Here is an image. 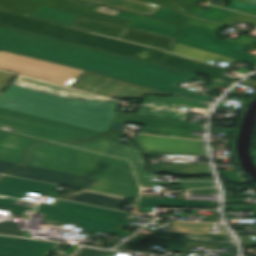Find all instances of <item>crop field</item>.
I'll return each mask as SVG.
<instances>
[{"instance_id": "obj_24", "label": "crop field", "mask_w": 256, "mask_h": 256, "mask_svg": "<svg viewBox=\"0 0 256 256\" xmlns=\"http://www.w3.org/2000/svg\"><path fill=\"white\" fill-rule=\"evenodd\" d=\"M105 6L150 16L161 7L138 0H86Z\"/></svg>"}, {"instance_id": "obj_45", "label": "crop field", "mask_w": 256, "mask_h": 256, "mask_svg": "<svg viewBox=\"0 0 256 256\" xmlns=\"http://www.w3.org/2000/svg\"><path fill=\"white\" fill-rule=\"evenodd\" d=\"M82 211H88V212H94V213H100L103 214L106 210L105 208H99L94 206H88L86 205L84 208L81 209Z\"/></svg>"}, {"instance_id": "obj_13", "label": "crop field", "mask_w": 256, "mask_h": 256, "mask_svg": "<svg viewBox=\"0 0 256 256\" xmlns=\"http://www.w3.org/2000/svg\"><path fill=\"white\" fill-rule=\"evenodd\" d=\"M0 126L14 129L13 131L25 135L51 140L57 143L84 141L91 136L38 124L0 114Z\"/></svg>"}, {"instance_id": "obj_16", "label": "crop field", "mask_w": 256, "mask_h": 256, "mask_svg": "<svg viewBox=\"0 0 256 256\" xmlns=\"http://www.w3.org/2000/svg\"><path fill=\"white\" fill-rule=\"evenodd\" d=\"M61 244L0 236V256H47Z\"/></svg>"}, {"instance_id": "obj_9", "label": "crop field", "mask_w": 256, "mask_h": 256, "mask_svg": "<svg viewBox=\"0 0 256 256\" xmlns=\"http://www.w3.org/2000/svg\"><path fill=\"white\" fill-rule=\"evenodd\" d=\"M69 87L110 98H143L144 94L168 96L160 92L87 71Z\"/></svg>"}, {"instance_id": "obj_55", "label": "crop field", "mask_w": 256, "mask_h": 256, "mask_svg": "<svg viewBox=\"0 0 256 256\" xmlns=\"http://www.w3.org/2000/svg\"><path fill=\"white\" fill-rule=\"evenodd\" d=\"M3 177V175H0V179Z\"/></svg>"}, {"instance_id": "obj_17", "label": "crop field", "mask_w": 256, "mask_h": 256, "mask_svg": "<svg viewBox=\"0 0 256 256\" xmlns=\"http://www.w3.org/2000/svg\"><path fill=\"white\" fill-rule=\"evenodd\" d=\"M40 141L0 130V160L23 164L26 151Z\"/></svg>"}, {"instance_id": "obj_41", "label": "crop field", "mask_w": 256, "mask_h": 256, "mask_svg": "<svg viewBox=\"0 0 256 256\" xmlns=\"http://www.w3.org/2000/svg\"><path fill=\"white\" fill-rule=\"evenodd\" d=\"M112 251H104V250H96V249H88V248H82L77 256H101L106 253H110Z\"/></svg>"}, {"instance_id": "obj_44", "label": "crop field", "mask_w": 256, "mask_h": 256, "mask_svg": "<svg viewBox=\"0 0 256 256\" xmlns=\"http://www.w3.org/2000/svg\"><path fill=\"white\" fill-rule=\"evenodd\" d=\"M234 42L235 43H240V44H245V45L253 46L256 43V39L242 35L241 37H239Z\"/></svg>"}, {"instance_id": "obj_12", "label": "crop field", "mask_w": 256, "mask_h": 256, "mask_svg": "<svg viewBox=\"0 0 256 256\" xmlns=\"http://www.w3.org/2000/svg\"><path fill=\"white\" fill-rule=\"evenodd\" d=\"M124 159H130L135 167L139 180L151 181V178H157L156 174L145 171L147 163L137 147H132L122 143L95 138L83 143H65Z\"/></svg>"}, {"instance_id": "obj_31", "label": "crop field", "mask_w": 256, "mask_h": 256, "mask_svg": "<svg viewBox=\"0 0 256 256\" xmlns=\"http://www.w3.org/2000/svg\"><path fill=\"white\" fill-rule=\"evenodd\" d=\"M137 114L170 119V120H180V121H187V117H188L186 113H180V112H174V111H168V110H162V109H156V108H150V107H144V106H140Z\"/></svg>"}, {"instance_id": "obj_48", "label": "crop field", "mask_w": 256, "mask_h": 256, "mask_svg": "<svg viewBox=\"0 0 256 256\" xmlns=\"http://www.w3.org/2000/svg\"><path fill=\"white\" fill-rule=\"evenodd\" d=\"M182 5H184L186 8L194 7L198 1L195 0H178Z\"/></svg>"}, {"instance_id": "obj_4", "label": "crop field", "mask_w": 256, "mask_h": 256, "mask_svg": "<svg viewBox=\"0 0 256 256\" xmlns=\"http://www.w3.org/2000/svg\"><path fill=\"white\" fill-rule=\"evenodd\" d=\"M0 24L88 45L154 63L159 62L167 54V52L164 51L68 29L1 11Z\"/></svg>"}, {"instance_id": "obj_52", "label": "crop field", "mask_w": 256, "mask_h": 256, "mask_svg": "<svg viewBox=\"0 0 256 256\" xmlns=\"http://www.w3.org/2000/svg\"><path fill=\"white\" fill-rule=\"evenodd\" d=\"M116 243H108L107 245H105L104 247L102 248H111L115 245Z\"/></svg>"}, {"instance_id": "obj_30", "label": "crop field", "mask_w": 256, "mask_h": 256, "mask_svg": "<svg viewBox=\"0 0 256 256\" xmlns=\"http://www.w3.org/2000/svg\"><path fill=\"white\" fill-rule=\"evenodd\" d=\"M170 243L171 241L169 240L133 237L128 241L124 242L123 244H121L120 246L126 247L124 250H128V251H140V252L153 253L154 251L150 250L152 244L169 246Z\"/></svg>"}, {"instance_id": "obj_6", "label": "crop field", "mask_w": 256, "mask_h": 256, "mask_svg": "<svg viewBox=\"0 0 256 256\" xmlns=\"http://www.w3.org/2000/svg\"><path fill=\"white\" fill-rule=\"evenodd\" d=\"M58 207L37 203L18 201L0 197V209L34 214L49 215L73 221L71 224L91 233L104 232L125 236L130 233L114 230L118 224L124 225L126 212L107 209L103 215L79 211L84 204L57 199L54 203Z\"/></svg>"}, {"instance_id": "obj_53", "label": "crop field", "mask_w": 256, "mask_h": 256, "mask_svg": "<svg viewBox=\"0 0 256 256\" xmlns=\"http://www.w3.org/2000/svg\"><path fill=\"white\" fill-rule=\"evenodd\" d=\"M244 1L256 3V0H244Z\"/></svg>"}, {"instance_id": "obj_25", "label": "crop field", "mask_w": 256, "mask_h": 256, "mask_svg": "<svg viewBox=\"0 0 256 256\" xmlns=\"http://www.w3.org/2000/svg\"><path fill=\"white\" fill-rule=\"evenodd\" d=\"M143 104L171 108V109H176L180 107H185L189 109H191L192 107L208 109L209 107L207 105L199 104L194 101H190L180 97L162 98V97L147 96L145 97Z\"/></svg>"}, {"instance_id": "obj_47", "label": "crop field", "mask_w": 256, "mask_h": 256, "mask_svg": "<svg viewBox=\"0 0 256 256\" xmlns=\"http://www.w3.org/2000/svg\"><path fill=\"white\" fill-rule=\"evenodd\" d=\"M33 187L34 188H39V189H45V190L52 191V189L57 187V185H51V184H45V183L36 182Z\"/></svg>"}, {"instance_id": "obj_40", "label": "crop field", "mask_w": 256, "mask_h": 256, "mask_svg": "<svg viewBox=\"0 0 256 256\" xmlns=\"http://www.w3.org/2000/svg\"><path fill=\"white\" fill-rule=\"evenodd\" d=\"M145 1H148V2H154V1H158V2H162V3H165V7L167 8H170V9H173V10H176V11H179V12H182V13H185V14H189L190 13L185 10L178 2H176L175 0H145Z\"/></svg>"}, {"instance_id": "obj_42", "label": "crop field", "mask_w": 256, "mask_h": 256, "mask_svg": "<svg viewBox=\"0 0 256 256\" xmlns=\"http://www.w3.org/2000/svg\"><path fill=\"white\" fill-rule=\"evenodd\" d=\"M18 166H20V164L0 161V173L6 174Z\"/></svg>"}, {"instance_id": "obj_26", "label": "crop field", "mask_w": 256, "mask_h": 256, "mask_svg": "<svg viewBox=\"0 0 256 256\" xmlns=\"http://www.w3.org/2000/svg\"><path fill=\"white\" fill-rule=\"evenodd\" d=\"M31 17L59 23L65 26L70 27L80 16L43 7L41 6L39 9H37L33 14L30 15Z\"/></svg>"}, {"instance_id": "obj_57", "label": "crop field", "mask_w": 256, "mask_h": 256, "mask_svg": "<svg viewBox=\"0 0 256 256\" xmlns=\"http://www.w3.org/2000/svg\"><path fill=\"white\" fill-rule=\"evenodd\" d=\"M198 1H200V0H198ZM203 1H206V0H203Z\"/></svg>"}, {"instance_id": "obj_56", "label": "crop field", "mask_w": 256, "mask_h": 256, "mask_svg": "<svg viewBox=\"0 0 256 256\" xmlns=\"http://www.w3.org/2000/svg\"><path fill=\"white\" fill-rule=\"evenodd\" d=\"M64 256H69V255H64Z\"/></svg>"}, {"instance_id": "obj_37", "label": "crop field", "mask_w": 256, "mask_h": 256, "mask_svg": "<svg viewBox=\"0 0 256 256\" xmlns=\"http://www.w3.org/2000/svg\"><path fill=\"white\" fill-rule=\"evenodd\" d=\"M130 26L131 27H135V28H139V29H143V30H147V31H151V32H154V33H158V34L174 37V38L177 35V32L165 30V29H162V28L150 26V25L139 23V22H135V21H132Z\"/></svg>"}, {"instance_id": "obj_20", "label": "crop field", "mask_w": 256, "mask_h": 256, "mask_svg": "<svg viewBox=\"0 0 256 256\" xmlns=\"http://www.w3.org/2000/svg\"><path fill=\"white\" fill-rule=\"evenodd\" d=\"M120 39L171 51L174 38L128 27Z\"/></svg>"}, {"instance_id": "obj_51", "label": "crop field", "mask_w": 256, "mask_h": 256, "mask_svg": "<svg viewBox=\"0 0 256 256\" xmlns=\"http://www.w3.org/2000/svg\"><path fill=\"white\" fill-rule=\"evenodd\" d=\"M184 98L194 100V101H199V100H207L210 99L209 97H206L204 95H196V96H184Z\"/></svg>"}, {"instance_id": "obj_3", "label": "crop field", "mask_w": 256, "mask_h": 256, "mask_svg": "<svg viewBox=\"0 0 256 256\" xmlns=\"http://www.w3.org/2000/svg\"><path fill=\"white\" fill-rule=\"evenodd\" d=\"M0 38L57 51L125 69L141 72L170 83L189 81L195 74L164 68L119 55L63 42L46 37L0 27ZM191 81V80H190Z\"/></svg>"}, {"instance_id": "obj_15", "label": "crop field", "mask_w": 256, "mask_h": 256, "mask_svg": "<svg viewBox=\"0 0 256 256\" xmlns=\"http://www.w3.org/2000/svg\"><path fill=\"white\" fill-rule=\"evenodd\" d=\"M10 175L89 190L95 179L24 165Z\"/></svg>"}, {"instance_id": "obj_35", "label": "crop field", "mask_w": 256, "mask_h": 256, "mask_svg": "<svg viewBox=\"0 0 256 256\" xmlns=\"http://www.w3.org/2000/svg\"><path fill=\"white\" fill-rule=\"evenodd\" d=\"M227 1H231L226 6L227 8H231V9H235V10H239V11H243V12H247V13L256 15V4L239 1V0H227ZM209 3H211V2H209ZM211 4H214V3H211ZM215 5H218V4H215ZM219 6H221V5H219Z\"/></svg>"}, {"instance_id": "obj_43", "label": "crop field", "mask_w": 256, "mask_h": 256, "mask_svg": "<svg viewBox=\"0 0 256 256\" xmlns=\"http://www.w3.org/2000/svg\"><path fill=\"white\" fill-rule=\"evenodd\" d=\"M14 77L15 75L0 72V91H2Z\"/></svg>"}, {"instance_id": "obj_10", "label": "crop field", "mask_w": 256, "mask_h": 256, "mask_svg": "<svg viewBox=\"0 0 256 256\" xmlns=\"http://www.w3.org/2000/svg\"><path fill=\"white\" fill-rule=\"evenodd\" d=\"M177 42L219 55L256 64L251 54L241 52L246 46L218 40V36L204 26L185 25Z\"/></svg>"}, {"instance_id": "obj_29", "label": "crop field", "mask_w": 256, "mask_h": 256, "mask_svg": "<svg viewBox=\"0 0 256 256\" xmlns=\"http://www.w3.org/2000/svg\"><path fill=\"white\" fill-rule=\"evenodd\" d=\"M174 53H178L181 55H185L191 58H195L201 61H209V60H218V61H223V62H228L235 64L238 62V60L230 59L227 57L219 56L216 54H212L206 51H202L196 48H192L186 45H182L177 43L175 49L173 50Z\"/></svg>"}, {"instance_id": "obj_11", "label": "crop field", "mask_w": 256, "mask_h": 256, "mask_svg": "<svg viewBox=\"0 0 256 256\" xmlns=\"http://www.w3.org/2000/svg\"><path fill=\"white\" fill-rule=\"evenodd\" d=\"M113 121L145 124L140 131L143 134L203 140V137L188 135L191 130L203 131L204 125L202 124L121 113H115Z\"/></svg>"}, {"instance_id": "obj_23", "label": "crop field", "mask_w": 256, "mask_h": 256, "mask_svg": "<svg viewBox=\"0 0 256 256\" xmlns=\"http://www.w3.org/2000/svg\"><path fill=\"white\" fill-rule=\"evenodd\" d=\"M58 198L115 209H118V207L124 201V199L121 198H114L86 191L65 193L60 195Z\"/></svg>"}, {"instance_id": "obj_46", "label": "crop field", "mask_w": 256, "mask_h": 256, "mask_svg": "<svg viewBox=\"0 0 256 256\" xmlns=\"http://www.w3.org/2000/svg\"><path fill=\"white\" fill-rule=\"evenodd\" d=\"M188 243L172 241L168 248L185 250Z\"/></svg>"}, {"instance_id": "obj_54", "label": "crop field", "mask_w": 256, "mask_h": 256, "mask_svg": "<svg viewBox=\"0 0 256 256\" xmlns=\"http://www.w3.org/2000/svg\"><path fill=\"white\" fill-rule=\"evenodd\" d=\"M222 256H234V255H229V254H222Z\"/></svg>"}, {"instance_id": "obj_7", "label": "crop field", "mask_w": 256, "mask_h": 256, "mask_svg": "<svg viewBox=\"0 0 256 256\" xmlns=\"http://www.w3.org/2000/svg\"><path fill=\"white\" fill-rule=\"evenodd\" d=\"M0 49L83 70H89L170 95L197 94L138 72L0 39Z\"/></svg>"}, {"instance_id": "obj_1", "label": "crop field", "mask_w": 256, "mask_h": 256, "mask_svg": "<svg viewBox=\"0 0 256 256\" xmlns=\"http://www.w3.org/2000/svg\"><path fill=\"white\" fill-rule=\"evenodd\" d=\"M27 165L98 179L91 191L137 199L140 189L126 160L42 142L28 151Z\"/></svg>"}, {"instance_id": "obj_50", "label": "crop field", "mask_w": 256, "mask_h": 256, "mask_svg": "<svg viewBox=\"0 0 256 256\" xmlns=\"http://www.w3.org/2000/svg\"><path fill=\"white\" fill-rule=\"evenodd\" d=\"M238 203H246L245 198L225 199V204H238Z\"/></svg>"}, {"instance_id": "obj_21", "label": "crop field", "mask_w": 256, "mask_h": 256, "mask_svg": "<svg viewBox=\"0 0 256 256\" xmlns=\"http://www.w3.org/2000/svg\"><path fill=\"white\" fill-rule=\"evenodd\" d=\"M151 237L161 238V239H169V240H177V241L217 244V245L235 247L233 240L230 236L158 231L157 233L153 234Z\"/></svg>"}, {"instance_id": "obj_32", "label": "crop field", "mask_w": 256, "mask_h": 256, "mask_svg": "<svg viewBox=\"0 0 256 256\" xmlns=\"http://www.w3.org/2000/svg\"><path fill=\"white\" fill-rule=\"evenodd\" d=\"M233 11L211 6L208 10H201L196 17L219 22Z\"/></svg>"}, {"instance_id": "obj_33", "label": "crop field", "mask_w": 256, "mask_h": 256, "mask_svg": "<svg viewBox=\"0 0 256 256\" xmlns=\"http://www.w3.org/2000/svg\"><path fill=\"white\" fill-rule=\"evenodd\" d=\"M141 185H163L175 184L180 185V189L203 188L215 186L214 182H145L139 181Z\"/></svg>"}, {"instance_id": "obj_36", "label": "crop field", "mask_w": 256, "mask_h": 256, "mask_svg": "<svg viewBox=\"0 0 256 256\" xmlns=\"http://www.w3.org/2000/svg\"><path fill=\"white\" fill-rule=\"evenodd\" d=\"M0 234L25 237L24 233L20 231L16 221L1 222Z\"/></svg>"}, {"instance_id": "obj_22", "label": "crop field", "mask_w": 256, "mask_h": 256, "mask_svg": "<svg viewBox=\"0 0 256 256\" xmlns=\"http://www.w3.org/2000/svg\"><path fill=\"white\" fill-rule=\"evenodd\" d=\"M13 84L29 87L32 89L48 92L51 94H55V95H59V96H63L71 99H104L97 96L85 94L82 92L74 91L71 89L47 84L44 82H40V81H36V80H32V79H28L20 76H18L15 79Z\"/></svg>"}, {"instance_id": "obj_34", "label": "crop field", "mask_w": 256, "mask_h": 256, "mask_svg": "<svg viewBox=\"0 0 256 256\" xmlns=\"http://www.w3.org/2000/svg\"><path fill=\"white\" fill-rule=\"evenodd\" d=\"M152 17L169 20L177 23H183L188 18V16H184L164 8L157 11L155 14L152 15Z\"/></svg>"}, {"instance_id": "obj_19", "label": "crop field", "mask_w": 256, "mask_h": 256, "mask_svg": "<svg viewBox=\"0 0 256 256\" xmlns=\"http://www.w3.org/2000/svg\"><path fill=\"white\" fill-rule=\"evenodd\" d=\"M35 182L6 176L0 182V196L21 200L29 191L57 198L60 194L31 188Z\"/></svg>"}, {"instance_id": "obj_2", "label": "crop field", "mask_w": 256, "mask_h": 256, "mask_svg": "<svg viewBox=\"0 0 256 256\" xmlns=\"http://www.w3.org/2000/svg\"><path fill=\"white\" fill-rule=\"evenodd\" d=\"M118 102L71 100L10 84L0 95V107L96 131L108 129Z\"/></svg>"}, {"instance_id": "obj_5", "label": "crop field", "mask_w": 256, "mask_h": 256, "mask_svg": "<svg viewBox=\"0 0 256 256\" xmlns=\"http://www.w3.org/2000/svg\"><path fill=\"white\" fill-rule=\"evenodd\" d=\"M41 5L82 15L71 27L119 38L131 20L94 11L98 5L77 0H0V10L29 16Z\"/></svg>"}, {"instance_id": "obj_28", "label": "crop field", "mask_w": 256, "mask_h": 256, "mask_svg": "<svg viewBox=\"0 0 256 256\" xmlns=\"http://www.w3.org/2000/svg\"><path fill=\"white\" fill-rule=\"evenodd\" d=\"M217 201L141 199L138 206L216 207Z\"/></svg>"}, {"instance_id": "obj_18", "label": "crop field", "mask_w": 256, "mask_h": 256, "mask_svg": "<svg viewBox=\"0 0 256 256\" xmlns=\"http://www.w3.org/2000/svg\"><path fill=\"white\" fill-rule=\"evenodd\" d=\"M161 64L204 74L210 75L212 77L228 81L230 83L234 82L238 78H232L226 75H223L226 70L213 67L212 65L202 64L195 61H191L185 58H181L175 55L169 54L163 61L160 62Z\"/></svg>"}, {"instance_id": "obj_49", "label": "crop field", "mask_w": 256, "mask_h": 256, "mask_svg": "<svg viewBox=\"0 0 256 256\" xmlns=\"http://www.w3.org/2000/svg\"><path fill=\"white\" fill-rule=\"evenodd\" d=\"M235 209H256V205L224 207V210H235Z\"/></svg>"}, {"instance_id": "obj_39", "label": "crop field", "mask_w": 256, "mask_h": 256, "mask_svg": "<svg viewBox=\"0 0 256 256\" xmlns=\"http://www.w3.org/2000/svg\"><path fill=\"white\" fill-rule=\"evenodd\" d=\"M189 25H204L207 27L209 30H211L213 33H218V30L223 27L224 25L208 22V21H203V20H198L191 18L189 22L187 23Z\"/></svg>"}, {"instance_id": "obj_14", "label": "crop field", "mask_w": 256, "mask_h": 256, "mask_svg": "<svg viewBox=\"0 0 256 256\" xmlns=\"http://www.w3.org/2000/svg\"><path fill=\"white\" fill-rule=\"evenodd\" d=\"M147 157H160L161 153L206 155L203 142L137 135L134 138Z\"/></svg>"}, {"instance_id": "obj_27", "label": "crop field", "mask_w": 256, "mask_h": 256, "mask_svg": "<svg viewBox=\"0 0 256 256\" xmlns=\"http://www.w3.org/2000/svg\"><path fill=\"white\" fill-rule=\"evenodd\" d=\"M150 169L158 172L171 171L178 175L210 174L208 165L153 164Z\"/></svg>"}, {"instance_id": "obj_38", "label": "crop field", "mask_w": 256, "mask_h": 256, "mask_svg": "<svg viewBox=\"0 0 256 256\" xmlns=\"http://www.w3.org/2000/svg\"><path fill=\"white\" fill-rule=\"evenodd\" d=\"M233 19L254 24L253 27H256V17L237 13V12L231 13L229 16L223 19L220 23L227 24Z\"/></svg>"}, {"instance_id": "obj_8", "label": "crop field", "mask_w": 256, "mask_h": 256, "mask_svg": "<svg viewBox=\"0 0 256 256\" xmlns=\"http://www.w3.org/2000/svg\"><path fill=\"white\" fill-rule=\"evenodd\" d=\"M0 69L68 86L83 70L0 50Z\"/></svg>"}, {"instance_id": "obj_58", "label": "crop field", "mask_w": 256, "mask_h": 256, "mask_svg": "<svg viewBox=\"0 0 256 256\" xmlns=\"http://www.w3.org/2000/svg\"><path fill=\"white\" fill-rule=\"evenodd\" d=\"M2 92H0V94H1Z\"/></svg>"}]
</instances>
